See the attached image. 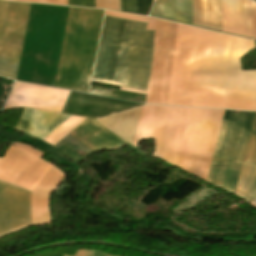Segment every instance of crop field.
I'll use <instances>...</instances> for the list:
<instances>
[{"mask_svg":"<svg viewBox=\"0 0 256 256\" xmlns=\"http://www.w3.org/2000/svg\"><path fill=\"white\" fill-rule=\"evenodd\" d=\"M249 41L178 24L167 104L256 111V70L241 72Z\"/></svg>","mask_w":256,"mask_h":256,"instance_id":"crop-field-1","label":"crop field"},{"mask_svg":"<svg viewBox=\"0 0 256 256\" xmlns=\"http://www.w3.org/2000/svg\"><path fill=\"white\" fill-rule=\"evenodd\" d=\"M30 6L0 1V75L13 80ZM103 13L71 7L56 87L88 93Z\"/></svg>","mask_w":256,"mask_h":256,"instance_id":"crop-field-2","label":"crop field"},{"mask_svg":"<svg viewBox=\"0 0 256 256\" xmlns=\"http://www.w3.org/2000/svg\"><path fill=\"white\" fill-rule=\"evenodd\" d=\"M223 112L145 105L133 145L154 138L153 156L206 180Z\"/></svg>","mask_w":256,"mask_h":256,"instance_id":"crop-field-3","label":"crop field"},{"mask_svg":"<svg viewBox=\"0 0 256 256\" xmlns=\"http://www.w3.org/2000/svg\"><path fill=\"white\" fill-rule=\"evenodd\" d=\"M146 26L105 16L92 81L146 91L154 39Z\"/></svg>","mask_w":256,"mask_h":256,"instance_id":"crop-field-4","label":"crop field"},{"mask_svg":"<svg viewBox=\"0 0 256 256\" xmlns=\"http://www.w3.org/2000/svg\"><path fill=\"white\" fill-rule=\"evenodd\" d=\"M255 114L224 112L207 182L234 193Z\"/></svg>","mask_w":256,"mask_h":256,"instance_id":"crop-field-5","label":"crop field"},{"mask_svg":"<svg viewBox=\"0 0 256 256\" xmlns=\"http://www.w3.org/2000/svg\"><path fill=\"white\" fill-rule=\"evenodd\" d=\"M105 15L148 22L147 29L155 30L154 53L146 103L166 104L177 24L150 17L106 11Z\"/></svg>","mask_w":256,"mask_h":256,"instance_id":"crop-field-6","label":"crop field"},{"mask_svg":"<svg viewBox=\"0 0 256 256\" xmlns=\"http://www.w3.org/2000/svg\"><path fill=\"white\" fill-rule=\"evenodd\" d=\"M52 165L9 146L0 158V180L32 191Z\"/></svg>","mask_w":256,"mask_h":256,"instance_id":"crop-field-7","label":"crop field"},{"mask_svg":"<svg viewBox=\"0 0 256 256\" xmlns=\"http://www.w3.org/2000/svg\"><path fill=\"white\" fill-rule=\"evenodd\" d=\"M31 223L30 192L0 181V235ZM27 225L4 234L15 233Z\"/></svg>","mask_w":256,"mask_h":256,"instance_id":"crop-field-8","label":"crop field"},{"mask_svg":"<svg viewBox=\"0 0 256 256\" xmlns=\"http://www.w3.org/2000/svg\"><path fill=\"white\" fill-rule=\"evenodd\" d=\"M69 92L16 82L4 109L28 107L60 113Z\"/></svg>","mask_w":256,"mask_h":256,"instance_id":"crop-field-9","label":"crop field"},{"mask_svg":"<svg viewBox=\"0 0 256 256\" xmlns=\"http://www.w3.org/2000/svg\"><path fill=\"white\" fill-rule=\"evenodd\" d=\"M223 31L256 38V3L252 0H222Z\"/></svg>","mask_w":256,"mask_h":256,"instance_id":"crop-field-10","label":"crop field"},{"mask_svg":"<svg viewBox=\"0 0 256 256\" xmlns=\"http://www.w3.org/2000/svg\"><path fill=\"white\" fill-rule=\"evenodd\" d=\"M66 175L54 166L31 192L33 225L50 224L48 197Z\"/></svg>","mask_w":256,"mask_h":256,"instance_id":"crop-field-11","label":"crop field"},{"mask_svg":"<svg viewBox=\"0 0 256 256\" xmlns=\"http://www.w3.org/2000/svg\"><path fill=\"white\" fill-rule=\"evenodd\" d=\"M69 117L71 116L26 109L16 129L43 140Z\"/></svg>","mask_w":256,"mask_h":256,"instance_id":"crop-field-12","label":"crop field"},{"mask_svg":"<svg viewBox=\"0 0 256 256\" xmlns=\"http://www.w3.org/2000/svg\"><path fill=\"white\" fill-rule=\"evenodd\" d=\"M69 134L92 150L113 147L124 142L95 119L87 118Z\"/></svg>","mask_w":256,"mask_h":256,"instance_id":"crop-field-13","label":"crop field"},{"mask_svg":"<svg viewBox=\"0 0 256 256\" xmlns=\"http://www.w3.org/2000/svg\"><path fill=\"white\" fill-rule=\"evenodd\" d=\"M256 193V118L235 189L236 195L254 201Z\"/></svg>","mask_w":256,"mask_h":256,"instance_id":"crop-field-14","label":"crop field"},{"mask_svg":"<svg viewBox=\"0 0 256 256\" xmlns=\"http://www.w3.org/2000/svg\"><path fill=\"white\" fill-rule=\"evenodd\" d=\"M155 3L149 15L192 25V0H157Z\"/></svg>","mask_w":256,"mask_h":256,"instance_id":"crop-field-15","label":"crop field"},{"mask_svg":"<svg viewBox=\"0 0 256 256\" xmlns=\"http://www.w3.org/2000/svg\"><path fill=\"white\" fill-rule=\"evenodd\" d=\"M193 25L222 31L221 0H193Z\"/></svg>","mask_w":256,"mask_h":256,"instance_id":"crop-field-16","label":"crop field"},{"mask_svg":"<svg viewBox=\"0 0 256 256\" xmlns=\"http://www.w3.org/2000/svg\"><path fill=\"white\" fill-rule=\"evenodd\" d=\"M141 107L102 118L98 121L117 133L126 141L133 143Z\"/></svg>","mask_w":256,"mask_h":256,"instance_id":"crop-field-17","label":"crop field"},{"mask_svg":"<svg viewBox=\"0 0 256 256\" xmlns=\"http://www.w3.org/2000/svg\"><path fill=\"white\" fill-rule=\"evenodd\" d=\"M84 117L72 116L64 124H62L58 129H56L52 134H50L43 141L51 144L52 146L56 144L60 139H62L66 134H68L72 129H74L78 124H80Z\"/></svg>","mask_w":256,"mask_h":256,"instance_id":"crop-field-18","label":"crop field"},{"mask_svg":"<svg viewBox=\"0 0 256 256\" xmlns=\"http://www.w3.org/2000/svg\"><path fill=\"white\" fill-rule=\"evenodd\" d=\"M152 0H120L121 11L148 15Z\"/></svg>","mask_w":256,"mask_h":256,"instance_id":"crop-field-19","label":"crop field"},{"mask_svg":"<svg viewBox=\"0 0 256 256\" xmlns=\"http://www.w3.org/2000/svg\"><path fill=\"white\" fill-rule=\"evenodd\" d=\"M91 88L112 92L111 97L113 98H119V99H125V100H131V101H137V102H143V103H145V99H146V95L144 94H138V93H133L128 91L103 88V87H97V86H92Z\"/></svg>","mask_w":256,"mask_h":256,"instance_id":"crop-field-20","label":"crop field"},{"mask_svg":"<svg viewBox=\"0 0 256 256\" xmlns=\"http://www.w3.org/2000/svg\"><path fill=\"white\" fill-rule=\"evenodd\" d=\"M96 7L120 11L119 0H95Z\"/></svg>","mask_w":256,"mask_h":256,"instance_id":"crop-field-21","label":"crop field"},{"mask_svg":"<svg viewBox=\"0 0 256 256\" xmlns=\"http://www.w3.org/2000/svg\"><path fill=\"white\" fill-rule=\"evenodd\" d=\"M68 5L95 7L94 0H68Z\"/></svg>","mask_w":256,"mask_h":256,"instance_id":"crop-field-22","label":"crop field"},{"mask_svg":"<svg viewBox=\"0 0 256 256\" xmlns=\"http://www.w3.org/2000/svg\"><path fill=\"white\" fill-rule=\"evenodd\" d=\"M22 1H32V2H42V3L67 5V0H22Z\"/></svg>","mask_w":256,"mask_h":256,"instance_id":"crop-field-23","label":"crop field"},{"mask_svg":"<svg viewBox=\"0 0 256 256\" xmlns=\"http://www.w3.org/2000/svg\"><path fill=\"white\" fill-rule=\"evenodd\" d=\"M75 256H93V251H79Z\"/></svg>","mask_w":256,"mask_h":256,"instance_id":"crop-field-24","label":"crop field"},{"mask_svg":"<svg viewBox=\"0 0 256 256\" xmlns=\"http://www.w3.org/2000/svg\"><path fill=\"white\" fill-rule=\"evenodd\" d=\"M95 256H104L103 253L95 251Z\"/></svg>","mask_w":256,"mask_h":256,"instance_id":"crop-field-25","label":"crop field"},{"mask_svg":"<svg viewBox=\"0 0 256 256\" xmlns=\"http://www.w3.org/2000/svg\"><path fill=\"white\" fill-rule=\"evenodd\" d=\"M105 256H109V255H106V254H105Z\"/></svg>","mask_w":256,"mask_h":256,"instance_id":"crop-field-26","label":"crop field"},{"mask_svg":"<svg viewBox=\"0 0 256 256\" xmlns=\"http://www.w3.org/2000/svg\"><path fill=\"white\" fill-rule=\"evenodd\" d=\"M256 204V203H255Z\"/></svg>","mask_w":256,"mask_h":256,"instance_id":"crop-field-27","label":"crop field"}]
</instances>
